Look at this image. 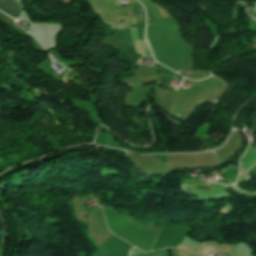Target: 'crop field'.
<instances>
[{"label":"crop field","instance_id":"crop-field-1","mask_svg":"<svg viewBox=\"0 0 256 256\" xmlns=\"http://www.w3.org/2000/svg\"><path fill=\"white\" fill-rule=\"evenodd\" d=\"M0 10L10 15L13 18H18L22 14L17 0H0Z\"/></svg>","mask_w":256,"mask_h":256},{"label":"crop field","instance_id":"crop-field-2","mask_svg":"<svg viewBox=\"0 0 256 256\" xmlns=\"http://www.w3.org/2000/svg\"><path fill=\"white\" fill-rule=\"evenodd\" d=\"M132 10H133V16H131V27L144 25L145 11L143 7L142 6L135 7V8H132Z\"/></svg>","mask_w":256,"mask_h":256},{"label":"crop field","instance_id":"crop-field-3","mask_svg":"<svg viewBox=\"0 0 256 256\" xmlns=\"http://www.w3.org/2000/svg\"><path fill=\"white\" fill-rule=\"evenodd\" d=\"M118 31H119V33H120V35H121V37H122V39L124 41L125 47L127 49V52L129 54H132V55H137L136 52H135V49L133 47V44H132V42L130 40V37L128 35L127 30L124 29V30H118Z\"/></svg>","mask_w":256,"mask_h":256},{"label":"crop field","instance_id":"crop-field-4","mask_svg":"<svg viewBox=\"0 0 256 256\" xmlns=\"http://www.w3.org/2000/svg\"><path fill=\"white\" fill-rule=\"evenodd\" d=\"M144 29H145V25L139 27V31H138L139 40L145 54H151L150 49L147 45L146 39L144 37Z\"/></svg>","mask_w":256,"mask_h":256},{"label":"crop field","instance_id":"crop-field-5","mask_svg":"<svg viewBox=\"0 0 256 256\" xmlns=\"http://www.w3.org/2000/svg\"><path fill=\"white\" fill-rule=\"evenodd\" d=\"M129 256H168V255H167V251L157 252V253L146 255V254H143V253L133 249Z\"/></svg>","mask_w":256,"mask_h":256},{"label":"crop field","instance_id":"crop-field-6","mask_svg":"<svg viewBox=\"0 0 256 256\" xmlns=\"http://www.w3.org/2000/svg\"><path fill=\"white\" fill-rule=\"evenodd\" d=\"M147 11V10H146ZM147 15H148V23H151V22H155L156 20L151 16V14L147 11ZM147 23V24H148Z\"/></svg>","mask_w":256,"mask_h":256},{"label":"crop field","instance_id":"crop-field-7","mask_svg":"<svg viewBox=\"0 0 256 256\" xmlns=\"http://www.w3.org/2000/svg\"><path fill=\"white\" fill-rule=\"evenodd\" d=\"M63 1L66 2V3H69L70 0H63Z\"/></svg>","mask_w":256,"mask_h":256}]
</instances>
